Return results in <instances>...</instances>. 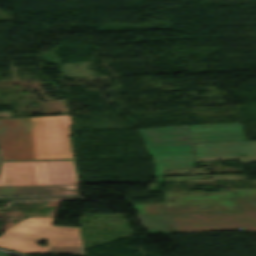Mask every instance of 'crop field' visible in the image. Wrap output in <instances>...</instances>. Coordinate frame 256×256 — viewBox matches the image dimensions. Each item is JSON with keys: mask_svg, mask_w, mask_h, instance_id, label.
Returning a JSON list of instances; mask_svg holds the SVG:
<instances>
[{"mask_svg": "<svg viewBox=\"0 0 256 256\" xmlns=\"http://www.w3.org/2000/svg\"><path fill=\"white\" fill-rule=\"evenodd\" d=\"M69 115L0 120V161L74 158Z\"/></svg>", "mask_w": 256, "mask_h": 256, "instance_id": "crop-field-1", "label": "crop field"}, {"mask_svg": "<svg viewBox=\"0 0 256 256\" xmlns=\"http://www.w3.org/2000/svg\"><path fill=\"white\" fill-rule=\"evenodd\" d=\"M165 213L256 211V188L217 192L165 191ZM138 214L163 213V203L133 205Z\"/></svg>", "mask_w": 256, "mask_h": 256, "instance_id": "crop-field-2", "label": "crop field"}, {"mask_svg": "<svg viewBox=\"0 0 256 256\" xmlns=\"http://www.w3.org/2000/svg\"><path fill=\"white\" fill-rule=\"evenodd\" d=\"M149 233L229 231L243 227L256 231V212L137 215Z\"/></svg>", "mask_w": 256, "mask_h": 256, "instance_id": "crop-field-3", "label": "crop field"}, {"mask_svg": "<svg viewBox=\"0 0 256 256\" xmlns=\"http://www.w3.org/2000/svg\"><path fill=\"white\" fill-rule=\"evenodd\" d=\"M54 217L25 218L0 235V247L26 254H49L50 246L82 245L77 227L51 226ZM46 240L47 246L34 242Z\"/></svg>", "mask_w": 256, "mask_h": 256, "instance_id": "crop-field-4", "label": "crop field"}, {"mask_svg": "<svg viewBox=\"0 0 256 256\" xmlns=\"http://www.w3.org/2000/svg\"><path fill=\"white\" fill-rule=\"evenodd\" d=\"M79 184L74 160L1 163L0 186Z\"/></svg>", "mask_w": 256, "mask_h": 256, "instance_id": "crop-field-5", "label": "crop field"}, {"mask_svg": "<svg viewBox=\"0 0 256 256\" xmlns=\"http://www.w3.org/2000/svg\"><path fill=\"white\" fill-rule=\"evenodd\" d=\"M150 155L193 154L187 126L138 129Z\"/></svg>", "mask_w": 256, "mask_h": 256, "instance_id": "crop-field-6", "label": "crop field"}, {"mask_svg": "<svg viewBox=\"0 0 256 256\" xmlns=\"http://www.w3.org/2000/svg\"><path fill=\"white\" fill-rule=\"evenodd\" d=\"M194 142L245 140L240 123L189 126Z\"/></svg>", "mask_w": 256, "mask_h": 256, "instance_id": "crop-field-7", "label": "crop field"}, {"mask_svg": "<svg viewBox=\"0 0 256 256\" xmlns=\"http://www.w3.org/2000/svg\"><path fill=\"white\" fill-rule=\"evenodd\" d=\"M152 161L157 182H163V170L193 167V155L152 156Z\"/></svg>", "mask_w": 256, "mask_h": 256, "instance_id": "crop-field-8", "label": "crop field"}, {"mask_svg": "<svg viewBox=\"0 0 256 256\" xmlns=\"http://www.w3.org/2000/svg\"><path fill=\"white\" fill-rule=\"evenodd\" d=\"M31 193H78V185L0 187V195Z\"/></svg>", "mask_w": 256, "mask_h": 256, "instance_id": "crop-field-9", "label": "crop field"}, {"mask_svg": "<svg viewBox=\"0 0 256 256\" xmlns=\"http://www.w3.org/2000/svg\"><path fill=\"white\" fill-rule=\"evenodd\" d=\"M50 252L53 254H85L83 246L50 247Z\"/></svg>", "mask_w": 256, "mask_h": 256, "instance_id": "crop-field-10", "label": "crop field"}, {"mask_svg": "<svg viewBox=\"0 0 256 256\" xmlns=\"http://www.w3.org/2000/svg\"><path fill=\"white\" fill-rule=\"evenodd\" d=\"M62 199H78V198H77V196H73V197H44V198H12V199H0V202L27 201V200H62Z\"/></svg>", "mask_w": 256, "mask_h": 256, "instance_id": "crop-field-11", "label": "crop field"}, {"mask_svg": "<svg viewBox=\"0 0 256 256\" xmlns=\"http://www.w3.org/2000/svg\"><path fill=\"white\" fill-rule=\"evenodd\" d=\"M0 116H12L10 112H0Z\"/></svg>", "mask_w": 256, "mask_h": 256, "instance_id": "crop-field-12", "label": "crop field"}, {"mask_svg": "<svg viewBox=\"0 0 256 256\" xmlns=\"http://www.w3.org/2000/svg\"><path fill=\"white\" fill-rule=\"evenodd\" d=\"M0 256H10V255H8L6 253H3V252H0Z\"/></svg>", "mask_w": 256, "mask_h": 256, "instance_id": "crop-field-13", "label": "crop field"}]
</instances>
